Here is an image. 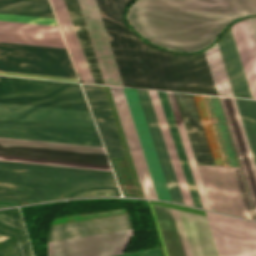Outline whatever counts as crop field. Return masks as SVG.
I'll list each match as a JSON object with an SVG mask.
<instances>
[{"instance_id": "crop-field-1", "label": "crop field", "mask_w": 256, "mask_h": 256, "mask_svg": "<svg viewBox=\"0 0 256 256\" xmlns=\"http://www.w3.org/2000/svg\"><path fill=\"white\" fill-rule=\"evenodd\" d=\"M129 1L96 0L123 85L218 95L203 51L177 55L157 50L127 28L122 12Z\"/></svg>"}, {"instance_id": "crop-field-2", "label": "crop field", "mask_w": 256, "mask_h": 256, "mask_svg": "<svg viewBox=\"0 0 256 256\" xmlns=\"http://www.w3.org/2000/svg\"><path fill=\"white\" fill-rule=\"evenodd\" d=\"M100 195L119 196L111 172L0 162V202Z\"/></svg>"}, {"instance_id": "crop-field-3", "label": "crop field", "mask_w": 256, "mask_h": 256, "mask_svg": "<svg viewBox=\"0 0 256 256\" xmlns=\"http://www.w3.org/2000/svg\"><path fill=\"white\" fill-rule=\"evenodd\" d=\"M96 84L123 86L95 0H77L96 54H94L78 3L64 0ZM63 0H51L80 80L94 83ZM90 18V19H88Z\"/></svg>"}, {"instance_id": "crop-field-4", "label": "crop field", "mask_w": 256, "mask_h": 256, "mask_svg": "<svg viewBox=\"0 0 256 256\" xmlns=\"http://www.w3.org/2000/svg\"><path fill=\"white\" fill-rule=\"evenodd\" d=\"M0 118L95 127L89 112L0 103ZM0 119V137L102 147L95 128Z\"/></svg>"}, {"instance_id": "crop-field-5", "label": "crop field", "mask_w": 256, "mask_h": 256, "mask_svg": "<svg viewBox=\"0 0 256 256\" xmlns=\"http://www.w3.org/2000/svg\"><path fill=\"white\" fill-rule=\"evenodd\" d=\"M256 13V0H138L129 19L230 22Z\"/></svg>"}, {"instance_id": "crop-field-6", "label": "crop field", "mask_w": 256, "mask_h": 256, "mask_svg": "<svg viewBox=\"0 0 256 256\" xmlns=\"http://www.w3.org/2000/svg\"><path fill=\"white\" fill-rule=\"evenodd\" d=\"M153 206L168 256H218L206 217Z\"/></svg>"}, {"instance_id": "crop-field-7", "label": "crop field", "mask_w": 256, "mask_h": 256, "mask_svg": "<svg viewBox=\"0 0 256 256\" xmlns=\"http://www.w3.org/2000/svg\"><path fill=\"white\" fill-rule=\"evenodd\" d=\"M0 70L77 78L66 49L0 43ZM0 75L78 82V79L0 72Z\"/></svg>"}, {"instance_id": "crop-field-8", "label": "crop field", "mask_w": 256, "mask_h": 256, "mask_svg": "<svg viewBox=\"0 0 256 256\" xmlns=\"http://www.w3.org/2000/svg\"><path fill=\"white\" fill-rule=\"evenodd\" d=\"M0 102L89 111L72 83L0 77Z\"/></svg>"}, {"instance_id": "crop-field-9", "label": "crop field", "mask_w": 256, "mask_h": 256, "mask_svg": "<svg viewBox=\"0 0 256 256\" xmlns=\"http://www.w3.org/2000/svg\"><path fill=\"white\" fill-rule=\"evenodd\" d=\"M147 39L179 51L208 45L227 23L129 20Z\"/></svg>"}, {"instance_id": "crop-field-10", "label": "crop field", "mask_w": 256, "mask_h": 256, "mask_svg": "<svg viewBox=\"0 0 256 256\" xmlns=\"http://www.w3.org/2000/svg\"><path fill=\"white\" fill-rule=\"evenodd\" d=\"M0 155L109 165L102 148L0 138Z\"/></svg>"}, {"instance_id": "crop-field-11", "label": "crop field", "mask_w": 256, "mask_h": 256, "mask_svg": "<svg viewBox=\"0 0 256 256\" xmlns=\"http://www.w3.org/2000/svg\"><path fill=\"white\" fill-rule=\"evenodd\" d=\"M206 215L219 256H256V224L210 212Z\"/></svg>"}, {"instance_id": "crop-field-12", "label": "crop field", "mask_w": 256, "mask_h": 256, "mask_svg": "<svg viewBox=\"0 0 256 256\" xmlns=\"http://www.w3.org/2000/svg\"><path fill=\"white\" fill-rule=\"evenodd\" d=\"M198 168L211 209L247 218L233 169L210 165H198Z\"/></svg>"}, {"instance_id": "crop-field-13", "label": "crop field", "mask_w": 256, "mask_h": 256, "mask_svg": "<svg viewBox=\"0 0 256 256\" xmlns=\"http://www.w3.org/2000/svg\"><path fill=\"white\" fill-rule=\"evenodd\" d=\"M132 229L47 243L48 256H109L124 252Z\"/></svg>"}, {"instance_id": "crop-field-14", "label": "crop field", "mask_w": 256, "mask_h": 256, "mask_svg": "<svg viewBox=\"0 0 256 256\" xmlns=\"http://www.w3.org/2000/svg\"><path fill=\"white\" fill-rule=\"evenodd\" d=\"M256 210V166L234 99L219 97Z\"/></svg>"}, {"instance_id": "crop-field-15", "label": "crop field", "mask_w": 256, "mask_h": 256, "mask_svg": "<svg viewBox=\"0 0 256 256\" xmlns=\"http://www.w3.org/2000/svg\"><path fill=\"white\" fill-rule=\"evenodd\" d=\"M158 199L171 201L135 90L123 88Z\"/></svg>"}, {"instance_id": "crop-field-16", "label": "crop field", "mask_w": 256, "mask_h": 256, "mask_svg": "<svg viewBox=\"0 0 256 256\" xmlns=\"http://www.w3.org/2000/svg\"><path fill=\"white\" fill-rule=\"evenodd\" d=\"M145 198H156L122 88L110 87Z\"/></svg>"}, {"instance_id": "crop-field-17", "label": "crop field", "mask_w": 256, "mask_h": 256, "mask_svg": "<svg viewBox=\"0 0 256 256\" xmlns=\"http://www.w3.org/2000/svg\"><path fill=\"white\" fill-rule=\"evenodd\" d=\"M132 228L128 215H117L51 225L48 240L56 241Z\"/></svg>"}, {"instance_id": "crop-field-18", "label": "crop field", "mask_w": 256, "mask_h": 256, "mask_svg": "<svg viewBox=\"0 0 256 256\" xmlns=\"http://www.w3.org/2000/svg\"><path fill=\"white\" fill-rule=\"evenodd\" d=\"M0 42L65 48L58 27L2 21Z\"/></svg>"}, {"instance_id": "crop-field-19", "label": "crop field", "mask_w": 256, "mask_h": 256, "mask_svg": "<svg viewBox=\"0 0 256 256\" xmlns=\"http://www.w3.org/2000/svg\"><path fill=\"white\" fill-rule=\"evenodd\" d=\"M110 158L123 151L102 86L82 85Z\"/></svg>"}, {"instance_id": "crop-field-20", "label": "crop field", "mask_w": 256, "mask_h": 256, "mask_svg": "<svg viewBox=\"0 0 256 256\" xmlns=\"http://www.w3.org/2000/svg\"><path fill=\"white\" fill-rule=\"evenodd\" d=\"M153 140L171 200L183 203L164 140L147 91L136 90ZM184 204V203H183Z\"/></svg>"}, {"instance_id": "crop-field-21", "label": "crop field", "mask_w": 256, "mask_h": 256, "mask_svg": "<svg viewBox=\"0 0 256 256\" xmlns=\"http://www.w3.org/2000/svg\"><path fill=\"white\" fill-rule=\"evenodd\" d=\"M197 163L215 165L193 95L175 93ZM183 95V96H181Z\"/></svg>"}, {"instance_id": "crop-field-22", "label": "crop field", "mask_w": 256, "mask_h": 256, "mask_svg": "<svg viewBox=\"0 0 256 256\" xmlns=\"http://www.w3.org/2000/svg\"><path fill=\"white\" fill-rule=\"evenodd\" d=\"M0 256H32L18 209L0 211Z\"/></svg>"}, {"instance_id": "crop-field-23", "label": "crop field", "mask_w": 256, "mask_h": 256, "mask_svg": "<svg viewBox=\"0 0 256 256\" xmlns=\"http://www.w3.org/2000/svg\"><path fill=\"white\" fill-rule=\"evenodd\" d=\"M247 21V24H248V28H249V31H250V34H251V37H252V41H253V44H254V47H255V50H256V22H255V19L252 18V19H248L246 20ZM237 23V22H236ZM240 26H241V29H242V33H243V36H244V39H245V42H246V45H247V48H248V52H249V55H250V58H251V61H252V64H253V67H254V70H255V74H256V57H255V54H254V50H253V47H252V44H251V41H250V37H249V34H248V31H247V28H246V24H245V21H240ZM238 23V24H239ZM238 24H235L233 26H231V29H232V32H233V36H234V39H235V42H236V45H237V48H238V52H239V55H240V58H241V61H242V65H243V68H244V71H245V74H246V78H247V81H248V84H249V87H250V90H251V94H252V97L253 98H256V82H255V79H254V75H253V72H252V69H251V66H250V63H249V59H248V56H247V53H246V50H245V47H244V43H243V40H242V37H241V34H240V31H239V27H238Z\"/></svg>"}, {"instance_id": "crop-field-24", "label": "crop field", "mask_w": 256, "mask_h": 256, "mask_svg": "<svg viewBox=\"0 0 256 256\" xmlns=\"http://www.w3.org/2000/svg\"><path fill=\"white\" fill-rule=\"evenodd\" d=\"M148 92H149V95H150V98H151V101H152V104H153V107H154V110H155V113H156V116H157V119H158V122H159V125L161 128L164 140H165V144H166V147H167V150H168V153H169L172 165H173V169H174V172H175V175H176V178H177L180 190H181V194H182L184 203L193 205V202H192V199H191V196H190V193H189V190H188L185 178H184V174H183V171H182V168H181V165H180V162H179V159H178L168 126L165 121V117L163 114V110H162L157 92L156 91H148Z\"/></svg>"}, {"instance_id": "crop-field-25", "label": "crop field", "mask_w": 256, "mask_h": 256, "mask_svg": "<svg viewBox=\"0 0 256 256\" xmlns=\"http://www.w3.org/2000/svg\"><path fill=\"white\" fill-rule=\"evenodd\" d=\"M227 71L236 97L251 98L236 52V48L229 32L219 43Z\"/></svg>"}, {"instance_id": "crop-field-26", "label": "crop field", "mask_w": 256, "mask_h": 256, "mask_svg": "<svg viewBox=\"0 0 256 256\" xmlns=\"http://www.w3.org/2000/svg\"><path fill=\"white\" fill-rule=\"evenodd\" d=\"M157 92H158L160 100H161V104H162V107H163V110H164V113L166 116V120H167L168 126L170 128V131H171V134H172L175 146H176V150H177V153H178V156H179V159H180V162H181V165H182V168H183V171H184V174H185L188 186H189V190H190L194 205L197 207L203 208L200 198H199V195H198V192H197V188H196L191 170H190V167H189V164H188V161H187V158H186V155H185V152H184V148H183V145H182V142H181V139H180V136H179L172 112H171V108H170L166 93L161 92V91H157Z\"/></svg>"}, {"instance_id": "crop-field-27", "label": "crop field", "mask_w": 256, "mask_h": 256, "mask_svg": "<svg viewBox=\"0 0 256 256\" xmlns=\"http://www.w3.org/2000/svg\"><path fill=\"white\" fill-rule=\"evenodd\" d=\"M166 93H167V96H168V99H169V102H170V105L172 108V112H173L178 130H179V133H180V136H181L184 148H185V152H186V155H187V158H188V161H189V164H190V167H191V170H192V173H193V176H194L197 188H198V192H199L203 207L206 209H210V206H209V203H208V200H207L204 188H203V184H202V181H201V178H200L197 166H196L194 155H193L190 143H189V139H188V136H187V133L185 130V126H184V123H183V120L181 117V113H180V110H179V107H178V104L176 101L175 94L170 93V92H166Z\"/></svg>"}, {"instance_id": "crop-field-28", "label": "crop field", "mask_w": 256, "mask_h": 256, "mask_svg": "<svg viewBox=\"0 0 256 256\" xmlns=\"http://www.w3.org/2000/svg\"><path fill=\"white\" fill-rule=\"evenodd\" d=\"M49 3L48 0H23ZM0 0V13L55 18L49 4Z\"/></svg>"}, {"instance_id": "crop-field-29", "label": "crop field", "mask_w": 256, "mask_h": 256, "mask_svg": "<svg viewBox=\"0 0 256 256\" xmlns=\"http://www.w3.org/2000/svg\"><path fill=\"white\" fill-rule=\"evenodd\" d=\"M218 94L223 96H233L230 83L221 59L217 43L204 51Z\"/></svg>"}, {"instance_id": "crop-field-30", "label": "crop field", "mask_w": 256, "mask_h": 256, "mask_svg": "<svg viewBox=\"0 0 256 256\" xmlns=\"http://www.w3.org/2000/svg\"><path fill=\"white\" fill-rule=\"evenodd\" d=\"M236 100L256 162V100Z\"/></svg>"}, {"instance_id": "crop-field-31", "label": "crop field", "mask_w": 256, "mask_h": 256, "mask_svg": "<svg viewBox=\"0 0 256 256\" xmlns=\"http://www.w3.org/2000/svg\"><path fill=\"white\" fill-rule=\"evenodd\" d=\"M216 165H224L202 96L194 95Z\"/></svg>"}, {"instance_id": "crop-field-32", "label": "crop field", "mask_w": 256, "mask_h": 256, "mask_svg": "<svg viewBox=\"0 0 256 256\" xmlns=\"http://www.w3.org/2000/svg\"><path fill=\"white\" fill-rule=\"evenodd\" d=\"M0 160L111 171L109 166L94 165V164L72 163V162L30 159V158H19V157H9V156H0Z\"/></svg>"}, {"instance_id": "crop-field-33", "label": "crop field", "mask_w": 256, "mask_h": 256, "mask_svg": "<svg viewBox=\"0 0 256 256\" xmlns=\"http://www.w3.org/2000/svg\"><path fill=\"white\" fill-rule=\"evenodd\" d=\"M211 100H212V104H213V107H214V110H215V113H216V116H217V120H218L220 129H221V133H222V136H223V139H224V142H225V146H226L229 158H230L231 165L239 167L237 159H236V155H235V152H234V148H233V145H232V141H231V138H230V134L226 133V132H228V130H227L224 118H223V114H222L218 99H217V97H211Z\"/></svg>"}, {"instance_id": "crop-field-34", "label": "crop field", "mask_w": 256, "mask_h": 256, "mask_svg": "<svg viewBox=\"0 0 256 256\" xmlns=\"http://www.w3.org/2000/svg\"><path fill=\"white\" fill-rule=\"evenodd\" d=\"M0 20L57 26L55 20L49 18L0 14Z\"/></svg>"}, {"instance_id": "crop-field-35", "label": "crop field", "mask_w": 256, "mask_h": 256, "mask_svg": "<svg viewBox=\"0 0 256 256\" xmlns=\"http://www.w3.org/2000/svg\"><path fill=\"white\" fill-rule=\"evenodd\" d=\"M233 169H234L235 176H236V179H237V182H238V185H239V189H240V192H241V195H242V198H243V202H244V205H245V208H246V211H247L248 218L251 219V220L256 221L255 216H254V212H253V209H252V206H251V202H250V199H249V196H248V192H247V189H246V186H245V182H244V179H243V176H242L241 169L240 168H233Z\"/></svg>"}, {"instance_id": "crop-field-36", "label": "crop field", "mask_w": 256, "mask_h": 256, "mask_svg": "<svg viewBox=\"0 0 256 256\" xmlns=\"http://www.w3.org/2000/svg\"><path fill=\"white\" fill-rule=\"evenodd\" d=\"M121 256H163V252L161 249H158V250L127 254V255H121Z\"/></svg>"}]
</instances>
